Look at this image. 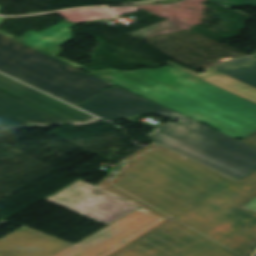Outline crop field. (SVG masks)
<instances>
[{"instance_id":"crop-field-1","label":"crop field","mask_w":256,"mask_h":256,"mask_svg":"<svg viewBox=\"0 0 256 256\" xmlns=\"http://www.w3.org/2000/svg\"><path fill=\"white\" fill-rule=\"evenodd\" d=\"M256 147V132L242 140ZM97 187L79 179L45 199L107 225L143 207L168 218L111 256H252L256 172L237 181L152 143Z\"/></svg>"},{"instance_id":"crop-field-2","label":"crop field","mask_w":256,"mask_h":256,"mask_svg":"<svg viewBox=\"0 0 256 256\" xmlns=\"http://www.w3.org/2000/svg\"><path fill=\"white\" fill-rule=\"evenodd\" d=\"M0 17V25L5 21ZM64 20L40 33L30 31L18 39L50 56L79 67L99 78L117 84L196 121H204L233 138H243L256 130V103L206 83L171 66L138 71H91L64 60L59 46L72 39ZM251 134V133H250Z\"/></svg>"},{"instance_id":"crop-field-3","label":"crop field","mask_w":256,"mask_h":256,"mask_svg":"<svg viewBox=\"0 0 256 256\" xmlns=\"http://www.w3.org/2000/svg\"><path fill=\"white\" fill-rule=\"evenodd\" d=\"M153 112L179 122L155 128L150 140L237 180L256 171L255 148L167 108Z\"/></svg>"},{"instance_id":"crop-field-4","label":"crop field","mask_w":256,"mask_h":256,"mask_svg":"<svg viewBox=\"0 0 256 256\" xmlns=\"http://www.w3.org/2000/svg\"><path fill=\"white\" fill-rule=\"evenodd\" d=\"M0 71L76 106L114 85L1 34Z\"/></svg>"},{"instance_id":"crop-field-5","label":"crop field","mask_w":256,"mask_h":256,"mask_svg":"<svg viewBox=\"0 0 256 256\" xmlns=\"http://www.w3.org/2000/svg\"><path fill=\"white\" fill-rule=\"evenodd\" d=\"M164 219L141 208L54 256H110Z\"/></svg>"},{"instance_id":"crop-field-6","label":"crop field","mask_w":256,"mask_h":256,"mask_svg":"<svg viewBox=\"0 0 256 256\" xmlns=\"http://www.w3.org/2000/svg\"><path fill=\"white\" fill-rule=\"evenodd\" d=\"M78 107L108 121L165 108L117 85Z\"/></svg>"},{"instance_id":"crop-field-7","label":"crop field","mask_w":256,"mask_h":256,"mask_svg":"<svg viewBox=\"0 0 256 256\" xmlns=\"http://www.w3.org/2000/svg\"><path fill=\"white\" fill-rule=\"evenodd\" d=\"M68 246L22 227L0 240V256H52Z\"/></svg>"},{"instance_id":"crop-field-8","label":"crop field","mask_w":256,"mask_h":256,"mask_svg":"<svg viewBox=\"0 0 256 256\" xmlns=\"http://www.w3.org/2000/svg\"><path fill=\"white\" fill-rule=\"evenodd\" d=\"M63 124L65 122L0 93V129L14 130Z\"/></svg>"},{"instance_id":"crop-field-9","label":"crop field","mask_w":256,"mask_h":256,"mask_svg":"<svg viewBox=\"0 0 256 256\" xmlns=\"http://www.w3.org/2000/svg\"><path fill=\"white\" fill-rule=\"evenodd\" d=\"M22 101L45 111L73 126L87 125L101 121L100 119L68 106L42 92Z\"/></svg>"},{"instance_id":"crop-field-10","label":"crop field","mask_w":256,"mask_h":256,"mask_svg":"<svg viewBox=\"0 0 256 256\" xmlns=\"http://www.w3.org/2000/svg\"><path fill=\"white\" fill-rule=\"evenodd\" d=\"M166 63L169 65H172L186 73H189L195 77H198L204 81H207L211 84H214L218 87H221L223 89H226L230 92H233L235 94H238L242 97H245L247 99H250V100L256 102V88H253L247 84H244V83H242L236 79H233L225 74H222L212 68L207 69L203 73L199 74L195 71H192L188 68L180 66L171 61H168Z\"/></svg>"},{"instance_id":"crop-field-11","label":"crop field","mask_w":256,"mask_h":256,"mask_svg":"<svg viewBox=\"0 0 256 256\" xmlns=\"http://www.w3.org/2000/svg\"><path fill=\"white\" fill-rule=\"evenodd\" d=\"M213 68L256 87V58L254 57L227 61Z\"/></svg>"},{"instance_id":"crop-field-12","label":"crop field","mask_w":256,"mask_h":256,"mask_svg":"<svg viewBox=\"0 0 256 256\" xmlns=\"http://www.w3.org/2000/svg\"><path fill=\"white\" fill-rule=\"evenodd\" d=\"M0 90L18 98L19 100L38 93L35 89L0 74Z\"/></svg>"},{"instance_id":"crop-field-13","label":"crop field","mask_w":256,"mask_h":256,"mask_svg":"<svg viewBox=\"0 0 256 256\" xmlns=\"http://www.w3.org/2000/svg\"><path fill=\"white\" fill-rule=\"evenodd\" d=\"M218 3L234 8L236 6H256V0H214Z\"/></svg>"},{"instance_id":"crop-field-14","label":"crop field","mask_w":256,"mask_h":256,"mask_svg":"<svg viewBox=\"0 0 256 256\" xmlns=\"http://www.w3.org/2000/svg\"><path fill=\"white\" fill-rule=\"evenodd\" d=\"M245 207L256 210V198H254L251 202H249Z\"/></svg>"},{"instance_id":"crop-field-15","label":"crop field","mask_w":256,"mask_h":256,"mask_svg":"<svg viewBox=\"0 0 256 256\" xmlns=\"http://www.w3.org/2000/svg\"><path fill=\"white\" fill-rule=\"evenodd\" d=\"M177 1H180V0H160V1H156V2H159L161 4H168V3H173V2H177ZM156 2H150V3L156 4Z\"/></svg>"},{"instance_id":"crop-field-16","label":"crop field","mask_w":256,"mask_h":256,"mask_svg":"<svg viewBox=\"0 0 256 256\" xmlns=\"http://www.w3.org/2000/svg\"><path fill=\"white\" fill-rule=\"evenodd\" d=\"M2 6H0V10H1Z\"/></svg>"},{"instance_id":"crop-field-17","label":"crop field","mask_w":256,"mask_h":256,"mask_svg":"<svg viewBox=\"0 0 256 256\" xmlns=\"http://www.w3.org/2000/svg\"><path fill=\"white\" fill-rule=\"evenodd\" d=\"M254 57H256V55Z\"/></svg>"}]
</instances>
